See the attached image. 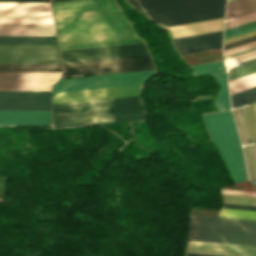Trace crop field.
<instances>
[{"label":"crop field","instance_id":"1","mask_svg":"<svg viewBox=\"0 0 256 256\" xmlns=\"http://www.w3.org/2000/svg\"><path fill=\"white\" fill-rule=\"evenodd\" d=\"M52 5L61 50L142 42L113 0Z\"/></svg>","mask_w":256,"mask_h":256},{"label":"crop field","instance_id":"2","mask_svg":"<svg viewBox=\"0 0 256 256\" xmlns=\"http://www.w3.org/2000/svg\"><path fill=\"white\" fill-rule=\"evenodd\" d=\"M141 85L52 94L53 104L138 96ZM138 97L53 105L54 128L140 120Z\"/></svg>","mask_w":256,"mask_h":256},{"label":"crop field","instance_id":"3","mask_svg":"<svg viewBox=\"0 0 256 256\" xmlns=\"http://www.w3.org/2000/svg\"><path fill=\"white\" fill-rule=\"evenodd\" d=\"M187 240L256 246V220L190 215Z\"/></svg>","mask_w":256,"mask_h":256},{"label":"crop field","instance_id":"4","mask_svg":"<svg viewBox=\"0 0 256 256\" xmlns=\"http://www.w3.org/2000/svg\"><path fill=\"white\" fill-rule=\"evenodd\" d=\"M204 118L210 136L223 156L232 174L233 181L237 183L247 180L242 149L231 112L208 114L204 115Z\"/></svg>","mask_w":256,"mask_h":256},{"label":"crop field","instance_id":"5","mask_svg":"<svg viewBox=\"0 0 256 256\" xmlns=\"http://www.w3.org/2000/svg\"><path fill=\"white\" fill-rule=\"evenodd\" d=\"M62 78L154 69L149 56L63 64Z\"/></svg>","mask_w":256,"mask_h":256},{"label":"crop field","instance_id":"6","mask_svg":"<svg viewBox=\"0 0 256 256\" xmlns=\"http://www.w3.org/2000/svg\"><path fill=\"white\" fill-rule=\"evenodd\" d=\"M155 70L59 80L52 93L143 84Z\"/></svg>","mask_w":256,"mask_h":256},{"label":"crop field","instance_id":"7","mask_svg":"<svg viewBox=\"0 0 256 256\" xmlns=\"http://www.w3.org/2000/svg\"><path fill=\"white\" fill-rule=\"evenodd\" d=\"M136 9L153 20L222 9L225 0H162L134 5Z\"/></svg>","mask_w":256,"mask_h":256},{"label":"crop field","instance_id":"8","mask_svg":"<svg viewBox=\"0 0 256 256\" xmlns=\"http://www.w3.org/2000/svg\"><path fill=\"white\" fill-rule=\"evenodd\" d=\"M0 23L54 24L50 3L0 2Z\"/></svg>","mask_w":256,"mask_h":256},{"label":"crop field","instance_id":"9","mask_svg":"<svg viewBox=\"0 0 256 256\" xmlns=\"http://www.w3.org/2000/svg\"><path fill=\"white\" fill-rule=\"evenodd\" d=\"M63 63L149 55L144 43L61 51Z\"/></svg>","mask_w":256,"mask_h":256},{"label":"crop field","instance_id":"10","mask_svg":"<svg viewBox=\"0 0 256 256\" xmlns=\"http://www.w3.org/2000/svg\"><path fill=\"white\" fill-rule=\"evenodd\" d=\"M0 63H61L57 46L0 45Z\"/></svg>","mask_w":256,"mask_h":256},{"label":"crop field","instance_id":"11","mask_svg":"<svg viewBox=\"0 0 256 256\" xmlns=\"http://www.w3.org/2000/svg\"><path fill=\"white\" fill-rule=\"evenodd\" d=\"M61 73L0 72V90L50 91Z\"/></svg>","mask_w":256,"mask_h":256},{"label":"crop field","instance_id":"12","mask_svg":"<svg viewBox=\"0 0 256 256\" xmlns=\"http://www.w3.org/2000/svg\"><path fill=\"white\" fill-rule=\"evenodd\" d=\"M0 110H51L50 92L0 91Z\"/></svg>","mask_w":256,"mask_h":256},{"label":"crop field","instance_id":"13","mask_svg":"<svg viewBox=\"0 0 256 256\" xmlns=\"http://www.w3.org/2000/svg\"><path fill=\"white\" fill-rule=\"evenodd\" d=\"M187 252L226 255V256H256V247L189 241ZM187 256H213V255L187 253Z\"/></svg>","mask_w":256,"mask_h":256},{"label":"crop field","instance_id":"14","mask_svg":"<svg viewBox=\"0 0 256 256\" xmlns=\"http://www.w3.org/2000/svg\"><path fill=\"white\" fill-rule=\"evenodd\" d=\"M223 31L173 40L181 55L222 48Z\"/></svg>","mask_w":256,"mask_h":256},{"label":"crop field","instance_id":"15","mask_svg":"<svg viewBox=\"0 0 256 256\" xmlns=\"http://www.w3.org/2000/svg\"><path fill=\"white\" fill-rule=\"evenodd\" d=\"M0 124L52 125L51 111H0Z\"/></svg>","mask_w":256,"mask_h":256},{"label":"crop field","instance_id":"16","mask_svg":"<svg viewBox=\"0 0 256 256\" xmlns=\"http://www.w3.org/2000/svg\"><path fill=\"white\" fill-rule=\"evenodd\" d=\"M224 18L166 27L173 39L223 30Z\"/></svg>","mask_w":256,"mask_h":256},{"label":"crop field","instance_id":"17","mask_svg":"<svg viewBox=\"0 0 256 256\" xmlns=\"http://www.w3.org/2000/svg\"><path fill=\"white\" fill-rule=\"evenodd\" d=\"M0 35L12 36H56L54 25H10L0 24Z\"/></svg>","mask_w":256,"mask_h":256},{"label":"crop field","instance_id":"18","mask_svg":"<svg viewBox=\"0 0 256 256\" xmlns=\"http://www.w3.org/2000/svg\"><path fill=\"white\" fill-rule=\"evenodd\" d=\"M224 12H225V9L187 15V16H181V17H175V18H169V19H163V20H157L156 22L159 23L161 26L166 27V26L224 17Z\"/></svg>","mask_w":256,"mask_h":256},{"label":"crop field","instance_id":"19","mask_svg":"<svg viewBox=\"0 0 256 256\" xmlns=\"http://www.w3.org/2000/svg\"><path fill=\"white\" fill-rule=\"evenodd\" d=\"M0 71L61 72V64H0Z\"/></svg>","mask_w":256,"mask_h":256},{"label":"crop field","instance_id":"20","mask_svg":"<svg viewBox=\"0 0 256 256\" xmlns=\"http://www.w3.org/2000/svg\"><path fill=\"white\" fill-rule=\"evenodd\" d=\"M0 44L57 45L56 37H11L0 36Z\"/></svg>","mask_w":256,"mask_h":256},{"label":"crop field","instance_id":"21","mask_svg":"<svg viewBox=\"0 0 256 256\" xmlns=\"http://www.w3.org/2000/svg\"><path fill=\"white\" fill-rule=\"evenodd\" d=\"M247 107H248L249 114H250V117H251V120H252V124H253V127H254V131H255V134H256V126H255L256 120H255V116H254V113H253V110H252V106L250 105L251 110H252V113H253V117H254V120H255V123H254V120H253V117H252V113H251L250 107H249V106H247ZM244 108H245V107H244ZM244 108H242V109H243V112H244ZM242 109H241V108H238V109H235V110H236V113H237V116H238V120H239L241 129H242V133H243V136H244V139H245V143L248 144L249 142H251V141H250V137H249V133H248V129H249V132H250V136H251L252 143H254V142H253V138H254V135H255V134L253 135V132H254V131L252 132L253 138H252V135H251V131H252L253 127H252V129H251V131H250V128H251L252 124H251V126H250V128H249V125H250V123H251L250 117H249V120H250L249 125H248L249 120H248V122H247L248 129H247V125H246V121H247V118H248V117L246 118V115H247V113H248V110H247V108H246V110H247L246 115H245L246 110H245V112H244V115H245V118H246V121H245V118H244ZM235 110L233 109L234 116L236 117L235 121H236L238 130H239V134H240L242 143H243V145H245L244 140H243V136H242V133H241V130H240V126H239V123H238V120H237V116H236ZM249 114H248V116H249ZM254 141H255V138H254ZM255 143H256V141H255Z\"/></svg>","mask_w":256,"mask_h":256},{"label":"crop field","instance_id":"22","mask_svg":"<svg viewBox=\"0 0 256 256\" xmlns=\"http://www.w3.org/2000/svg\"><path fill=\"white\" fill-rule=\"evenodd\" d=\"M256 11V0H235L227 3L226 20L231 15L240 13L241 15Z\"/></svg>","mask_w":256,"mask_h":256},{"label":"crop field","instance_id":"23","mask_svg":"<svg viewBox=\"0 0 256 256\" xmlns=\"http://www.w3.org/2000/svg\"><path fill=\"white\" fill-rule=\"evenodd\" d=\"M255 25H256V21H252V22H249V23H246V24H243V25H239V26H236V27H233V28H229V29L225 30V35L229 34V33L239 31V30H242V29H246V28H249V27H252V26H255ZM255 29H256V26L252 27V28H249V29H246V30H242V31L233 33V34L226 35L225 38L232 37V36L242 34V33L248 32V31H252V30H255ZM255 35H256V30L252 31V32H249V33L239 35V36H235V37H232V38H229V39L224 38L225 39L224 40V45L228 44V43L238 41V40H241V39H245V38H248V37H251V36H255Z\"/></svg>","mask_w":256,"mask_h":256},{"label":"crop field","instance_id":"24","mask_svg":"<svg viewBox=\"0 0 256 256\" xmlns=\"http://www.w3.org/2000/svg\"><path fill=\"white\" fill-rule=\"evenodd\" d=\"M212 76L221 86V90L214 101L215 105L218 107L219 111L230 109L226 73L216 74Z\"/></svg>","mask_w":256,"mask_h":256},{"label":"crop field","instance_id":"25","mask_svg":"<svg viewBox=\"0 0 256 256\" xmlns=\"http://www.w3.org/2000/svg\"><path fill=\"white\" fill-rule=\"evenodd\" d=\"M231 95L256 86V73L229 81Z\"/></svg>","mask_w":256,"mask_h":256},{"label":"crop field","instance_id":"26","mask_svg":"<svg viewBox=\"0 0 256 256\" xmlns=\"http://www.w3.org/2000/svg\"><path fill=\"white\" fill-rule=\"evenodd\" d=\"M256 102V87L231 96L232 108ZM247 102V103H243ZM240 103H243L240 105Z\"/></svg>","mask_w":256,"mask_h":256},{"label":"crop field","instance_id":"27","mask_svg":"<svg viewBox=\"0 0 256 256\" xmlns=\"http://www.w3.org/2000/svg\"><path fill=\"white\" fill-rule=\"evenodd\" d=\"M197 76L225 72L223 62H214L192 67Z\"/></svg>","mask_w":256,"mask_h":256},{"label":"crop field","instance_id":"28","mask_svg":"<svg viewBox=\"0 0 256 256\" xmlns=\"http://www.w3.org/2000/svg\"><path fill=\"white\" fill-rule=\"evenodd\" d=\"M244 66H236L228 69V77L229 80L233 78H237L243 75H247L253 72H256V59L245 62Z\"/></svg>","mask_w":256,"mask_h":256},{"label":"crop field","instance_id":"29","mask_svg":"<svg viewBox=\"0 0 256 256\" xmlns=\"http://www.w3.org/2000/svg\"><path fill=\"white\" fill-rule=\"evenodd\" d=\"M250 147H251V153H252V158H253V163H254V168H255V174H256V152H255L256 144H255V147H254V145H250ZM250 147L248 145L249 153H250ZM243 150H244V155H245V160H246V165H247L249 178L253 179L252 178V173H251V168L253 167V163H252V167L250 168V163L252 162V158H251V162L249 163V158L251 157V153H250V157L248 158V153H247L246 146L243 147ZM253 172H254V169H253ZM255 174H254V178H255Z\"/></svg>","mask_w":256,"mask_h":256},{"label":"crop field","instance_id":"30","mask_svg":"<svg viewBox=\"0 0 256 256\" xmlns=\"http://www.w3.org/2000/svg\"><path fill=\"white\" fill-rule=\"evenodd\" d=\"M253 58H256V51L226 59L225 62H226V66H231V65H235L238 62L240 63V62L247 61V60H250Z\"/></svg>","mask_w":256,"mask_h":256},{"label":"crop field","instance_id":"31","mask_svg":"<svg viewBox=\"0 0 256 256\" xmlns=\"http://www.w3.org/2000/svg\"><path fill=\"white\" fill-rule=\"evenodd\" d=\"M238 18L240 20H238L237 18L231 19L232 21L238 20V21H234V22H232L230 20H227V21H230V22L226 21L227 23H226L225 29L229 28V27H233V26L239 25V24H242V23H246V22H249V21H252V20H256V12L248 14V15H245V16H241V17H238Z\"/></svg>","mask_w":256,"mask_h":256},{"label":"crop field","instance_id":"32","mask_svg":"<svg viewBox=\"0 0 256 256\" xmlns=\"http://www.w3.org/2000/svg\"><path fill=\"white\" fill-rule=\"evenodd\" d=\"M253 46H256V41L245 44V45H241V46H238V47H235V48H232V49L225 50L224 55L229 54V53H233V52H236V51H239V50H243V49H246V48H249V47H253Z\"/></svg>","mask_w":256,"mask_h":256},{"label":"crop field","instance_id":"33","mask_svg":"<svg viewBox=\"0 0 256 256\" xmlns=\"http://www.w3.org/2000/svg\"><path fill=\"white\" fill-rule=\"evenodd\" d=\"M221 193L256 196V192H245V191H235V190H225V189H221Z\"/></svg>","mask_w":256,"mask_h":256},{"label":"crop field","instance_id":"34","mask_svg":"<svg viewBox=\"0 0 256 256\" xmlns=\"http://www.w3.org/2000/svg\"><path fill=\"white\" fill-rule=\"evenodd\" d=\"M254 40H256V36L248 38V39H245V40H241V41H238V42H235V43H232V44L225 45L224 46V50L228 49V48H232V47L238 46V45H241V44H245V43H248V42H251V41H254Z\"/></svg>","mask_w":256,"mask_h":256},{"label":"crop field","instance_id":"35","mask_svg":"<svg viewBox=\"0 0 256 256\" xmlns=\"http://www.w3.org/2000/svg\"><path fill=\"white\" fill-rule=\"evenodd\" d=\"M222 207H226V208H237V209H248V210H256V207L238 206V205H228V204H223Z\"/></svg>","mask_w":256,"mask_h":256},{"label":"crop field","instance_id":"36","mask_svg":"<svg viewBox=\"0 0 256 256\" xmlns=\"http://www.w3.org/2000/svg\"><path fill=\"white\" fill-rule=\"evenodd\" d=\"M7 2H50V0H0Z\"/></svg>","mask_w":256,"mask_h":256},{"label":"crop field","instance_id":"37","mask_svg":"<svg viewBox=\"0 0 256 256\" xmlns=\"http://www.w3.org/2000/svg\"><path fill=\"white\" fill-rule=\"evenodd\" d=\"M131 5L145 3L153 0H128Z\"/></svg>","mask_w":256,"mask_h":256},{"label":"crop field","instance_id":"38","mask_svg":"<svg viewBox=\"0 0 256 256\" xmlns=\"http://www.w3.org/2000/svg\"><path fill=\"white\" fill-rule=\"evenodd\" d=\"M253 110H254V113H255V116H256V104H253Z\"/></svg>","mask_w":256,"mask_h":256},{"label":"crop field","instance_id":"39","mask_svg":"<svg viewBox=\"0 0 256 256\" xmlns=\"http://www.w3.org/2000/svg\"><path fill=\"white\" fill-rule=\"evenodd\" d=\"M57 1H67V0H52V2H57Z\"/></svg>","mask_w":256,"mask_h":256},{"label":"crop field","instance_id":"40","mask_svg":"<svg viewBox=\"0 0 256 256\" xmlns=\"http://www.w3.org/2000/svg\"><path fill=\"white\" fill-rule=\"evenodd\" d=\"M228 1H231V0H227V2H228Z\"/></svg>","mask_w":256,"mask_h":256}]
</instances>
